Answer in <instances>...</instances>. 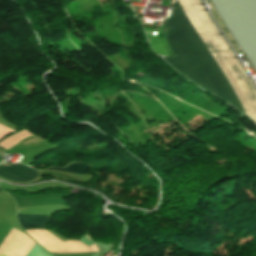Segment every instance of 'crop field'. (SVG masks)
Wrapping results in <instances>:
<instances>
[{
    "mask_svg": "<svg viewBox=\"0 0 256 256\" xmlns=\"http://www.w3.org/2000/svg\"><path fill=\"white\" fill-rule=\"evenodd\" d=\"M170 18L165 20L162 30L174 57L163 58L182 76L188 78L202 90L235 107L256 123V91L249 78L223 40L200 0H173ZM246 115V116H247Z\"/></svg>",
    "mask_w": 256,
    "mask_h": 256,
    "instance_id": "crop-field-1",
    "label": "crop field"
},
{
    "mask_svg": "<svg viewBox=\"0 0 256 256\" xmlns=\"http://www.w3.org/2000/svg\"><path fill=\"white\" fill-rule=\"evenodd\" d=\"M50 216L17 214L18 222L22 229L43 228Z\"/></svg>",
    "mask_w": 256,
    "mask_h": 256,
    "instance_id": "crop-field-3",
    "label": "crop field"
},
{
    "mask_svg": "<svg viewBox=\"0 0 256 256\" xmlns=\"http://www.w3.org/2000/svg\"><path fill=\"white\" fill-rule=\"evenodd\" d=\"M32 134L28 133L27 131L23 130L17 134H14L8 138H6L5 140H3L2 142H0V146L4 149H9L12 146H14L15 144H17L19 141H21L22 139L30 136Z\"/></svg>",
    "mask_w": 256,
    "mask_h": 256,
    "instance_id": "crop-field-4",
    "label": "crop field"
},
{
    "mask_svg": "<svg viewBox=\"0 0 256 256\" xmlns=\"http://www.w3.org/2000/svg\"><path fill=\"white\" fill-rule=\"evenodd\" d=\"M14 131L0 125V139H2L3 137H5L6 135L12 133Z\"/></svg>",
    "mask_w": 256,
    "mask_h": 256,
    "instance_id": "crop-field-6",
    "label": "crop field"
},
{
    "mask_svg": "<svg viewBox=\"0 0 256 256\" xmlns=\"http://www.w3.org/2000/svg\"><path fill=\"white\" fill-rule=\"evenodd\" d=\"M88 169H89V166H87L83 163H71L65 169L49 168L48 170H57V171H62V172H67V173H77V174L86 175Z\"/></svg>",
    "mask_w": 256,
    "mask_h": 256,
    "instance_id": "crop-field-5",
    "label": "crop field"
},
{
    "mask_svg": "<svg viewBox=\"0 0 256 256\" xmlns=\"http://www.w3.org/2000/svg\"><path fill=\"white\" fill-rule=\"evenodd\" d=\"M6 166L0 164V177L13 182H30L39 175L35 170L24 165Z\"/></svg>",
    "mask_w": 256,
    "mask_h": 256,
    "instance_id": "crop-field-2",
    "label": "crop field"
}]
</instances>
